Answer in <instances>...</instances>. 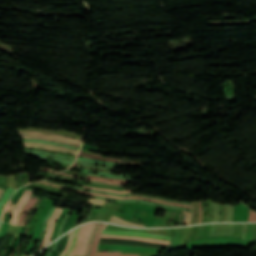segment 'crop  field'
I'll list each match as a JSON object with an SVG mask.
<instances>
[{
	"instance_id": "8a807250",
	"label": "crop field",
	"mask_w": 256,
	"mask_h": 256,
	"mask_svg": "<svg viewBox=\"0 0 256 256\" xmlns=\"http://www.w3.org/2000/svg\"><path fill=\"white\" fill-rule=\"evenodd\" d=\"M99 223H90L81 227L78 237H77V246L72 251L69 256H87L91 252L93 240L95 234L99 228Z\"/></svg>"
},
{
	"instance_id": "ac0d7876",
	"label": "crop field",
	"mask_w": 256,
	"mask_h": 256,
	"mask_svg": "<svg viewBox=\"0 0 256 256\" xmlns=\"http://www.w3.org/2000/svg\"><path fill=\"white\" fill-rule=\"evenodd\" d=\"M102 234L124 235V236H141V237H147V238L166 239V240L170 239V237H166V236L150 234V233L131 232V231H102Z\"/></svg>"
},
{
	"instance_id": "34b2d1b8",
	"label": "crop field",
	"mask_w": 256,
	"mask_h": 256,
	"mask_svg": "<svg viewBox=\"0 0 256 256\" xmlns=\"http://www.w3.org/2000/svg\"><path fill=\"white\" fill-rule=\"evenodd\" d=\"M41 183H44V184H47V185H51V186H55V187H59V188H64V187H62V186H57V185H53V184H49V183H45V182H41ZM69 189H71V188H69ZM71 191H75V192H79V193H83V194L101 195V196H106V197H111V198H116V199L136 198V199H142V200H148V201H155V202H161V203H165V204H169V205H175V206H182V207H189V208H191V206H189V205H182V204L164 202V201H160V200L147 199V198H139V197H118V196H112V195H106V194H98V193H91V192H86V191H79V190H75V189H71Z\"/></svg>"
},
{
	"instance_id": "412701ff",
	"label": "crop field",
	"mask_w": 256,
	"mask_h": 256,
	"mask_svg": "<svg viewBox=\"0 0 256 256\" xmlns=\"http://www.w3.org/2000/svg\"><path fill=\"white\" fill-rule=\"evenodd\" d=\"M31 193L32 192H30V191H25L24 194L21 196L20 200L18 201V203L15 205L14 209L12 210L11 220H10V223L12 225L17 224V220H18L19 214L22 210V207L24 206L26 201L29 199Z\"/></svg>"
},
{
	"instance_id": "f4fd0767",
	"label": "crop field",
	"mask_w": 256,
	"mask_h": 256,
	"mask_svg": "<svg viewBox=\"0 0 256 256\" xmlns=\"http://www.w3.org/2000/svg\"><path fill=\"white\" fill-rule=\"evenodd\" d=\"M61 212H62V209L56 208L54 213L49 218L48 225H47V230H46V235L44 237V240H43V243H42L40 249L43 248L44 246H46L50 242L53 227H54L55 222L58 219L59 215L61 214Z\"/></svg>"
},
{
	"instance_id": "dd49c442",
	"label": "crop field",
	"mask_w": 256,
	"mask_h": 256,
	"mask_svg": "<svg viewBox=\"0 0 256 256\" xmlns=\"http://www.w3.org/2000/svg\"><path fill=\"white\" fill-rule=\"evenodd\" d=\"M26 147H40V148H45V149H52V150H59L63 151L66 153H72V154H77V150L65 148V147H59V146H53V145H48L44 143H38V142H24Z\"/></svg>"
},
{
	"instance_id": "e52e79f7",
	"label": "crop field",
	"mask_w": 256,
	"mask_h": 256,
	"mask_svg": "<svg viewBox=\"0 0 256 256\" xmlns=\"http://www.w3.org/2000/svg\"><path fill=\"white\" fill-rule=\"evenodd\" d=\"M25 189L21 188L19 190L16 191L15 195L13 196L12 200L9 202V204L7 205V207L10 208V210L12 209V207L14 206V204L16 203V201L20 198V196L22 195L23 191ZM10 210L7 211L5 210L2 216V220L1 221H7L9 222L10 220Z\"/></svg>"
},
{
	"instance_id": "d8731c3e",
	"label": "crop field",
	"mask_w": 256,
	"mask_h": 256,
	"mask_svg": "<svg viewBox=\"0 0 256 256\" xmlns=\"http://www.w3.org/2000/svg\"><path fill=\"white\" fill-rule=\"evenodd\" d=\"M80 157H86V158H92V159H98V160H106V161H114V162H125V161H119L117 159H111V158H105L102 157L100 155H94V154H89V153H85V152H79ZM126 163H136V162H126ZM141 164V163H138Z\"/></svg>"
},
{
	"instance_id": "5a996713",
	"label": "crop field",
	"mask_w": 256,
	"mask_h": 256,
	"mask_svg": "<svg viewBox=\"0 0 256 256\" xmlns=\"http://www.w3.org/2000/svg\"><path fill=\"white\" fill-rule=\"evenodd\" d=\"M101 237L144 240V241H150V242H155V243H160V244H169V242H170V241L154 240V239H147V238H141V237H123V236H106V235H101Z\"/></svg>"
},
{
	"instance_id": "3316defc",
	"label": "crop field",
	"mask_w": 256,
	"mask_h": 256,
	"mask_svg": "<svg viewBox=\"0 0 256 256\" xmlns=\"http://www.w3.org/2000/svg\"><path fill=\"white\" fill-rule=\"evenodd\" d=\"M125 205H132V206L143 207V208H160V207H156V206H152V205H148V204H142V203H125ZM161 209L179 211V210L168 209V208H161ZM179 212L191 214V212H189V211H179Z\"/></svg>"
},
{
	"instance_id": "28ad6ade",
	"label": "crop field",
	"mask_w": 256,
	"mask_h": 256,
	"mask_svg": "<svg viewBox=\"0 0 256 256\" xmlns=\"http://www.w3.org/2000/svg\"><path fill=\"white\" fill-rule=\"evenodd\" d=\"M76 216H77V214H75V212L73 211L71 216L68 218L66 224L63 227L62 234H64L65 232H67L71 228Z\"/></svg>"
},
{
	"instance_id": "d1516ede",
	"label": "crop field",
	"mask_w": 256,
	"mask_h": 256,
	"mask_svg": "<svg viewBox=\"0 0 256 256\" xmlns=\"http://www.w3.org/2000/svg\"><path fill=\"white\" fill-rule=\"evenodd\" d=\"M109 222H112V223H118V224H124V225H132V226H138V227H144L145 225H137V224H133L131 222H128V221H123L122 219H120L119 217L115 216V215H112L111 219Z\"/></svg>"
},
{
	"instance_id": "22f410ed",
	"label": "crop field",
	"mask_w": 256,
	"mask_h": 256,
	"mask_svg": "<svg viewBox=\"0 0 256 256\" xmlns=\"http://www.w3.org/2000/svg\"><path fill=\"white\" fill-rule=\"evenodd\" d=\"M63 237H64V236H63ZM63 237H61L60 242H59V244H58V247H57V249L55 250V252L52 254V256H54V255L56 254V252L58 251V249H59L60 246L62 245V243H63ZM67 238H68V233L66 234V239H65V241H64V243H63V245H62V247H61L60 253L57 254L56 256H59V255L61 254V252L63 251V249H64V247H65V244H66V242H67Z\"/></svg>"
},
{
	"instance_id": "cbeb9de0",
	"label": "crop field",
	"mask_w": 256,
	"mask_h": 256,
	"mask_svg": "<svg viewBox=\"0 0 256 256\" xmlns=\"http://www.w3.org/2000/svg\"><path fill=\"white\" fill-rule=\"evenodd\" d=\"M82 188L97 189V190H104V191L117 192V193H126V192H131V191H116V190L102 189V188H94V187H87V186H83Z\"/></svg>"
},
{
	"instance_id": "5142ce71",
	"label": "crop field",
	"mask_w": 256,
	"mask_h": 256,
	"mask_svg": "<svg viewBox=\"0 0 256 256\" xmlns=\"http://www.w3.org/2000/svg\"><path fill=\"white\" fill-rule=\"evenodd\" d=\"M78 228H79V227H78ZM78 228L75 229V231H74L73 240H72V245H71V247L69 248V250L67 251V253H66L65 256H68L69 252H70V251L74 248V246H75V239H76V236H77Z\"/></svg>"
},
{
	"instance_id": "d9b57169",
	"label": "crop field",
	"mask_w": 256,
	"mask_h": 256,
	"mask_svg": "<svg viewBox=\"0 0 256 256\" xmlns=\"http://www.w3.org/2000/svg\"><path fill=\"white\" fill-rule=\"evenodd\" d=\"M72 234H73V231L70 232L69 241H68V243H67V245H66L65 250L62 252V254H61L60 256H63L64 253L66 252V250L69 248V246H70V244H71Z\"/></svg>"
},
{
	"instance_id": "733c2abd",
	"label": "crop field",
	"mask_w": 256,
	"mask_h": 256,
	"mask_svg": "<svg viewBox=\"0 0 256 256\" xmlns=\"http://www.w3.org/2000/svg\"><path fill=\"white\" fill-rule=\"evenodd\" d=\"M60 174L69 175V174H66V173H60ZM70 176H73V175H70ZM76 177H79V176H76ZM81 178H84V177H81ZM87 179H89V180H97V179H93V178H87ZM98 181H102V180H98ZM105 182H110V181H105ZM110 183L126 185V183H122V182H110Z\"/></svg>"
},
{
	"instance_id": "4a817a6b",
	"label": "crop field",
	"mask_w": 256,
	"mask_h": 256,
	"mask_svg": "<svg viewBox=\"0 0 256 256\" xmlns=\"http://www.w3.org/2000/svg\"><path fill=\"white\" fill-rule=\"evenodd\" d=\"M105 201L99 199H90L89 204H104Z\"/></svg>"
},
{
	"instance_id": "bc2a9ffb",
	"label": "crop field",
	"mask_w": 256,
	"mask_h": 256,
	"mask_svg": "<svg viewBox=\"0 0 256 256\" xmlns=\"http://www.w3.org/2000/svg\"><path fill=\"white\" fill-rule=\"evenodd\" d=\"M81 148L99 152V150H96L97 149L96 147L85 145V144H83Z\"/></svg>"
},
{
	"instance_id": "214f88e0",
	"label": "crop field",
	"mask_w": 256,
	"mask_h": 256,
	"mask_svg": "<svg viewBox=\"0 0 256 256\" xmlns=\"http://www.w3.org/2000/svg\"><path fill=\"white\" fill-rule=\"evenodd\" d=\"M23 138H36V139H43V140L53 141V142H62V141H55V140H50V139H46V138H39V137H23ZM62 143H67V142H62ZM67 144H70V143H67ZM70 145H72V144H70ZM73 146L77 147V145H73Z\"/></svg>"
},
{
	"instance_id": "92a150f3",
	"label": "crop field",
	"mask_w": 256,
	"mask_h": 256,
	"mask_svg": "<svg viewBox=\"0 0 256 256\" xmlns=\"http://www.w3.org/2000/svg\"><path fill=\"white\" fill-rule=\"evenodd\" d=\"M190 216H191V215H189V214H185V216H184V222H185V223H187V224L189 223Z\"/></svg>"
},
{
	"instance_id": "dafd665d",
	"label": "crop field",
	"mask_w": 256,
	"mask_h": 256,
	"mask_svg": "<svg viewBox=\"0 0 256 256\" xmlns=\"http://www.w3.org/2000/svg\"><path fill=\"white\" fill-rule=\"evenodd\" d=\"M4 193V190H2L1 188H0V197H1V195Z\"/></svg>"
}]
</instances>
